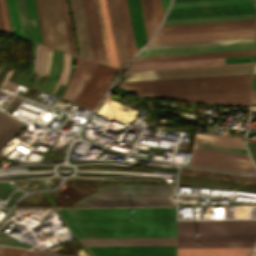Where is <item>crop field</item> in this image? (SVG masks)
<instances>
[{
	"instance_id": "1",
	"label": "crop field",
	"mask_w": 256,
	"mask_h": 256,
	"mask_svg": "<svg viewBox=\"0 0 256 256\" xmlns=\"http://www.w3.org/2000/svg\"><path fill=\"white\" fill-rule=\"evenodd\" d=\"M60 212L79 238L176 237L172 208L60 209Z\"/></svg>"
},
{
	"instance_id": "2",
	"label": "crop field",
	"mask_w": 256,
	"mask_h": 256,
	"mask_svg": "<svg viewBox=\"0 0 256 256\" xmlns=\"http://www.w3.org/2000/svg\"><path fill=\"white\" fill-rule=\"evenodd\" d=\"M251 77L123 86L142 96L250 90Z\"/></svg>"
},
{
	"instance_id": "3",
	"label": "crop field",
	"mask_w": 256,
	"mask_h": 256,
	"mask_svg": "<svg viewBox=\"0 0 256 256\" xmlns=\"http://www.w3.org/2000/svg\"><path fill=\"white\" fill-rule=\"evenodd\" d=\"M167 186L116 185L105 188L78 205L173 204Z\"/></svg>"
},
{
	"instance_id": "4",
	"label": "crop field",
	"mask_w": 256,
	"mask_h": 256,
	"mask_svg": "<svg viewBox=\"0 0 256 256\" xmlns=\"http://www.w3.org/2000/svg\"><path fill=\"white\" fill-rule=\"evenodd\" d=\"M45 45L69 51L60 0H35Z\"/></svg>"
},
{
	"instance_id": "5",
	"label": "crop field",
	"mask_w": 256,
	"mask_h": 256,
	"mask_svg": "<svg viewBox=\"0 0 256 256\" xmlns=\"http://www.w3.org/2000/svg\"><path fill=\"white\" fill-rule=\"evenodd\" d=\"M245 64H252V63H245ZM245 64L134 70V71H126L125 73L174 70V69H188V68H203V67H217V66H231V65H245ZM251 69H252V65H245V66H231V67H217V68H203V69H189V70L132 73V74H125L126 79H124L123 82L172 79V78H186V77H201V76H215V75H230V74H244V73H251Z\"/></svg>"
},
{
	"instance_id": "6",
	"label": "crop field",
	"mask_w": 256,
	"mask_h": 256,
	"mask_svg": "<svg viewBox=\"0 0 256 256\" xmlns=\"http://www.w3.org/2000/svg\"><path fill=\"white\" fill-rule=\"evenodd\" d=\"M241 173H256L249 155L193 147L189 164Z\"/></svg>"
},
{
	"instance_id": "7",
	"label": "crop field",
	"mask_w": 256,
	"mask_h": 256,
	"mask_svg": "<svg viewBox=\"0 0 256 256\" xmlns=\"http://www.w3.org/2000/svg\"><path fill=\"white\" fill-rule=\"evenodd\" d=\"M119 69L98 64L75 103L93 109Z\"/></svg>"
},
{
	"instance_id": "8",
	"label": "crop field",
	"mask_w": 256,
	"mask_h": 256,
	"mask_svg": "<svg viewBox=\"0 0 256 256\" xmlns=\"http://www.w3.org/2000/svg\"><path fill=\"white\" fill-rule=\"evenodd\" d=\"M255 3L170 9L166 19L254 13Z\"/></svg>"
},
{
	"instance_id": "9",
	"label": "crop field",
	"mask_w": 256,
	"mask_h": 256,
	"mask_svg": "<svg viewBox=\"0 0 256 256\" xmlns=\"http://www.w3.org/2000/svg\"><path fill=\"white\" fill-rule=\"evenodd\" d=\"M154 98L177 99V100L202 103V104H208V105H233V106H249L250 105V91L166 96V97H154Z\"/></svg>"
},
{
	"instance_id": "10",
	"label": "crop field",
	"mask_w": 256,
	"mask_h": 256,
	"mask_svg": "<svg viewBox=\"0 0 256 256\" xmlns=\"http://www.w3.org/2000/svg\"><path fill=\"white\" fill-rule=\"evenodd\" d=\"M95 256H176V246L88 247Z\"/></svg>"
},
{
	"instance_id": "11",
	"label": "crop field",
	"mask_w": 256,
	"mask_h": 256,
	"mask_svg": "<svg viewBox=\"0 0 256 256\" xmlns=\"http://www.w3.org/2000/svg\"><path fill=\"white\" fill-rule=\"evenodd\" d=\"M254 29L154 36L148 44L253 37Z\"/></svg>"
},
{
	"instance_id": "12",
	"label": "crop field",
	"mask_w": 256,
	"mask_h": 256,
	"mask_svg": "<svg viewBox=\"0 0 256 256\" xmlns=\"http://www.w3.org/2000/svg\"><path fill=\"white\" fill-rule=\"evenodd\" d=\"M73 24L81 57L92 59V53L81 0H69Z\"/></svg>"
},
{
	"instance_id": "13",
	"label": "crop field",
	"mask_w": 256,
	"mask_h": 256,
	"mask_svg": "<svg viewBox=\"0 0 256 256\" xmlns=\"http://www.w3.org/2000/svg\"><path fill=\"white\" fill-rule=\"evenodd\" d=\"M95 61L106 64L94 0H82Z\"/></svg>"
},
{
	"instance_id": "14",
	"label": "crop field",
	"mask_w": 256,
	"mask_h": 256,
	"mask_svg": "<svg viewBox=\"0 0 256 256\" xmlns=\"http://www.w3.org/2000/svg\"><path fill=\"white\" fill-rule=\"evenodd\" d=\"M118 64L129 59L118 0H107Z\"/></svg>"
},
{
	"instance_id": "15",
	"label": "crop field",
	"mask_w": 256,
	"mask_h": 256,
	"mask_svg": "<svg viewBox=\"0 0 256 256\" xmlns=\"http://www.w3.org/2000/svg\"><path fill=\"white\" fill-rule=\"evenodd\" d=\"M226 63L252 62V56L224 58ZM223 58L216 59H200V60H185V61H170V62H154V63H139L131 64L128 70L218 64L225 63Z\"/></svg>"
},
{
	"instance_id": "16",
	"label": "crop field",
	"mask_w": 256,
	"mask_h": 256,
	"mask_svg": "<svg viewBox=\"0 0 256 256\" xmlns=\"http://www.w3.org/2000/svg\"><path fill=\"white\" fill-rule=\"evenodd\" d=\"M86 246L176 245V238L81 239Z\"/></svg>"
},
{
	"instance_id": "17",
	"label": "crop field",
	"mask_w": 256,
	"mask_h": 256,
	"mask_svg": "<svg viewBox=\"0 0 256 256\" xmlns=\"http://www.w3.org/2000/svg\"><path fill=\"white\" fill-rule=\"evenodd\" d=\"M253 43L143 50L140 56L252 49Z\"/></svg>"
},
{
	"instance_id": "18",
	"label": "crop field",
	"mask_w": 256,
	"mask_h": 256,
	"mask_svg": "<svg viewBox=\"0 0 256 256\" xmlns=\"http://www.w3.org/2000/svg\"><path fill=\"white\" fill-rule=\"evenodd\" d=\"M252 55V50L138 57L133 63Z\"/></svg>"
},
{
	"instance_id": "19",
	"label": "crop field",
	"mask_w": 256,
	"mask_h": 256,
	"mask_svg": "<svg viewBox=\"0 0 256 256\" xmlns=\"http://www.w3.org/2000/svg\"><path fill=\"white\" fill-rule=\"evenodd\" d=\"M250 247L178 248V256H245Z\"/></svg>"
},
{
	"instance_id": "20",
	"label": "crop field",
	"mask_w": 256,
	"mask_h": 256,
	"mask_svg": "<svg viewBox=\"0 0 256 256\" xmlns=\"http://www.w3.org/2000/svg\"><path fill=\"white\" fill-rule=\"evenodd\" d=\"M127 1H128L129 11H130L136 49L138 50L147 41L143 19H142L140 2L139 0H127Z\"/></svg>"
},
{
	"instance_id": "21",
	"label": "crop field",
	"mask_w": 256,
	"mask_h": 256,
	"mask_svg": "<svg viewBox=\"0 0 256 256\" xmlns=\"http://www.w3.org/2000/svg\"><path fill=\"white\" fill-rule=\"evenodd\" d=\"M255 240H256V234L178 236V242L255 241Z\"/></svg>"
},
{
	"instance_id": "22",
	"label": "crop field",
	"mask_w": 256,
	"mask_h": 256,
	"mask_svg": "<svg viewBox=\"0 0 256 256\" xmlns=\"http://www.w3.org/2000/svg\"><path fill=\"white\" fill-rule=\"evenodd\" d=\"M194 141L245 149L240 136L196 133Z\"/></svg>"
},
{
	"instance_id": "23",
	"label": "crop field",
	"mask_w": 256,
	"mask_h": 256,
	"mask_svg": "<svg viewBox=\"0 0 256 256\" xmlns=\"http://www.w3.org/2000/svg\"><path fill=\"white\" fill-rule=\"evenodd\" d=\"M99 3H100V8H101L105 33H106V39H107L111 64H112V66L117 67L118 64H117V59H116V53H115V48H114V43H113V37H112V32H111V27H110V21H109V16H108V11H107L106 0H99Z\"/></svg>"
},
{
	"instance_id": "24",
	"label": "crop field",
	"mask_w": 256,
	"mask_h": 256,
	"mask_svg": "<svg viewBox=\"0 0 256 256\" xmlns=\"http://www.w3.org/2000/svg\"><path fill=\"white\" fill-rule=\"evenodd\" d=\"M254 28V24L160 30L158 35Z\"/></svg>"
},
{
	"instance_id": "25",
	"label": "crop field",
	"mask_w": 256,
	"mask_h": 256,
	"mask_svg": "<svg viewBox=\"0 0 256 256\" xmlns=\"http://www.w3.org/2000/svg\"><path fill=\"white\" fill-rule=\"evenodd\" d=\"M119 4H120L122 19H123V25H124V30H125V35H126V40L128 45L129 56L131 57L136 52V49H135L131 22H130V17L128 12L127 1L119 0Z\"/></svg>"
},
{
	"instance_id": "26",
	"label": "crop field",
	"mask_w": 256,
	"mask_h": 256,
	"mask_svg": "<svg viewBox=\"0 0 256 256\" xmlns=\"http://www.w3.org/2000/svg\"><path fill=\"white\" fill-rule=\"evenodd\" d=\"M26 6L28 11L32 39L34 42L43 44L34 0H26Z\"/></svg>"
},
{
	"instance_id": "27",
	"label": "crop field",
	"mask_w": 256,
	"mask_h": 256,
	"mask_svg": "<svg viewBox=\"0 0 256 256\" xmlns=\"http://www.w3.org/2000/svg\"><path fill=\"white\" fill-rule=\"evenodd\" d=\"M144 21L156 20L152 0H140ZM147 38L150 37L157 27L156 21L145 22Z\"/></svg>"
},
{
	"instance_id": "28",
	"label": "crop field",
	"mask_w": 256,
	"mask_h": 256,
	"mask_svg": "<svg viewBox=\"0 0 256 256\" xmlns=\"http://www.w3.org/2000/svg\"><path fill=\"white\" fill-rule=\"evenodd\" d=\"M253 42V38L146 46L145 49Z\"/></svg>"
},
{
	"instance_id": "29",
	"label": "crop field",
	"mask_w": 256,
	"mask_h": 256,
	"mask_svg": "<svg viewBox=\"0 0 256 256\" xmlns=\"http://www.w3.org/2000/svg\"><path fill=\"white\" fill-rule=\"evenodd\" d=\"M247 18H254V14L217 16V17H202V18H187V19H172V20H164L163 24L200 22V21H216V20H231V19H247Z\"/></svg>"
},
{
	"instance_id": "30",
	"label": "crop field",
	"mask_w": 256,
	"mask_h": 256,
	"mask_svg": "<svg viewBox=\"0 0 256 256\" xmlns=\"http://www.w3.org/2000/svg\"><path fill=\"white\" fill-rule=\"evenodd\" d=\"M247 23H254V19L222 21V22H206V23L170 24V25H161L160 29L183 28V27H199V26H215V25H231V24H247Z\"/></svg>"
},
{
	"instance_id": "31",
	"label": "crop field",
	"mask_w": 256,
	"mask_h": 256,
	"mask_svg": "<svg viewBox=\"0 0 256 256\" xmlns=\"http://www.w3.org/2000/svg\"><path fill=\"white\" fill-rule=\"evenodd\" d=\"M6 3L12 32L23 37L16 0H6Z\"/></svg>"
},
{
	"instance_id": "32",
	"label": "crop field",
	"mask_w": 256,
	"mask_h": 256,
	"mask_svg": "<svg viewBox=\"0 0 256 256\" xmlns=\"http://www.w3.org/2000/svg\"><path fill=\"white\" fill-rule=\"evenodd\" d=\"M52 48L39 45V69L38 72L49 74L51 65Z\"/></svg>"
},
{
	"instance_id": "33",
	"label": "crop field",
	"mask_w": 256,
	"mask_h": 256,
	"mask_svg": "<svg viewBox=\"0 0 256 256\" xmlns=\"http://www.w3.org/2000/svg\"><path fill=\"white\" fill-rule=\"evenodd\" d=\"M248 2H255V0H220V1H205V2L173 3L171 8L220 5V4H234V3H248Z\"/></svg>"
},
{
	"instance_id": "34",
	"label": "crop field",
	"mask_w": 256,
	"mask_h": 256,
	"mask_svg": "<svg viewBox=\"0 0 256 256\" xmlns=\"http://www.w3.org/2000/svg\"><path fill=\"white\" fill-rule=\"evenodd\" d=\"M61 3H62V8H63V14H64V19H65V24H66L68 40H69L70 51L72 54L77 55L73 32H72L71 21H70V16H69V10H68V5H67V0H61Z\"/></svg>"
},
{
	"instance_id": "35",
	"label": "crop field",
	"mask_w": 256,
	"mask_h": 256,
	"mask_svg": "<svg viewBox=\"0 0 256 256\" xmlns=\"http://www.w3.org/2000/svg\"><path fill=\"white\" fill-rule=\"evenodd\" d=\"M254 242L178 243V247L252 246ZM198 244H201L200 246Z\"/></svg>"
},
{
	"instance_id": "36",
	"label": "crop field",
	"mask_w": 256,
	"mask_h": 256,
	"mask_svg": "<svg viewBox=\"0 0 256 256\" xmlns=\"http://www.w3.org/2000/svg\"><path fill=\"white\" fill-rule=\"evenodd\" d=\"M17 4H18V9H19L20 19L22 24L23 35L25 38L32 41L28 17H27V11L25 6V0H17Z\"/></svg>"
},
{
	"instance_id": "37",
	"label": "crop field",
	"mask_w": 256,
	"mask_h": 256,
	"mask_svg": "<svg viewBox=\"0 0 256 256\" xmlns=\"http://www.w3.org/2000/svg\"><path fill=\"white\" fill-rule=\"evenodd\" d=\"M244 76H251V74L230 75V76H215V77H201V78H187V79H172V80H158V81H143V82H129V83H121V85L156 83V82H171V81H186V80H200V79H215V78H230V77H244Z\"/></svg>"
},
{
	"instance_id": "38",
	"label": "crop field",
	"mask_w": 256,
	"mask_h": 256,
	"mask_svg": "<svg viewBox=\"0 0 256 256\" xmlns=\"http://www.w3.org/2000/svg\"><path fill=\"white\" fill-rule=\"evenodd\" d=\"M193 146L248 154L246 150L234 149V148H228V147H222V146H216V145L194 143Z\"/></svg>"
},
{
	"instance_id": "39",
	"label": "crop field",
	"mask_w": 256,
	"mask_h": 256,
	"mask_svg": "<svg viewBox=\"0 0 256 256\" xmlns=\"http://www.w3.org/2000/svg\"><path fill=\"white\" fill-rule=\"evenodd\" d=\"M69 71H70V55L66 54L65 57V65H64V77L61 81V83L65 84L69 77Z\"/></svg>"
},
{
	"instance_id": "40",
	"label": "crop field",
	"mask_w": 256,
	"mask_h": 256,
	"mask_svg": "<svg viewBox=\"0 0 256 256\" xmlns=\"http://www.w3.org/2000/svg\"><path fill=\"white\" fill-rule=\"evenodd\" d=\"M25 250L8 247L1 256H20Z\"/></svg>"
},
{
	"instance_id": "41",
	"label": "crop field",
	"mask_w": 256,
	"mask_h": 256,
	"mask_svg": "<svg viewBox=\"0 0 256 256\" xmlns=\"http://www.w3.org/2000/svg\"><path fill=\"white\" fill-rule=\"evenodd\" d=\"M153 2H154L156 17H157V23L159 24V22H160V20L163 16L161 1L160 0H153Z\"/></svg>"
},
{
	"instance_id": "42",
	"label": "crop field",
	"mask_w": 256,
	"mask_h": 256,
	"mask_svg": "<svg viewBox=\"0 0 256 256\" xmlns=\"http://www.w3.org/2000/svg\"><path fill=\"white\" fill-rule=\"evenodd\" d=\"M21 256H57V255L26 250Z\"/></svg>"
},
{
	"instance_id": "43",
	"label": "crop field",
	"mask_w": 256,
	"mask_h": 256,
	"mask_svg": "<svg viewBox=\"0 0 256 256\" xmlns=\"http://www.w3.org/2000/svg\"><path fill=\"white\" fill-rule=\"evenodd\" d=\"M0 32H5L3 19H2V14H1V8H0Z\"/></svg>"
},
{
	"instance_id": "44",
	"label": "crop field",
	"mask_w": 256,
	"mask_h": 256,
	"mask_svg": "<svg viewBox=\"0 0 256 256\" xmlns=\"http://www.w3.org/2000/svg\"><path fill=\"white\" fill-rule=\"evenodd\" d=\"M0 3H1V8H2V14H3V19H4V24H5V30H6V32H8L2 0H0Z\"/></svg>"
},
{
	"instance_id": "45",
	"label": "crop field",
	"mask_w": 256,
	"mask_h": 256,
	"mask_svg": "<svg viewBox=\"0 0 256 256\" xmlns=\"http://www.w3.org/2000/svg\"><path fill=\"white\" fill-rule=\"evenodd\" d=\"M3 3H4V8H5V14H6V19H7V24H8V30H9V32H11L5 0H3Z\"/></svg>"
},
{
	"instance_id": "46",
	"label": "crop field",
	"mask_w": 256,
	"mask_h": 256,
	"mask_svg": "<svg viewBox=\"0 0 256 256\" xmlns=\"http://www.w3.org/2000/svg\"><path fill=\"white\" fill-rule=\"evenodd\" d=\"M252 103H256V90H253L252 93Z\"/></svg>"
},
{
	"instance_id": "47",
	"label": "crop field",
	"mask_w": 256,
	"mask_h": 256,
	"mask_svg": "<svg viewBox=\"0 0 256 256\" xmlns=\"http://www.w3.org/2000/svg\"><path fill=\"white\" fill-rule=\"evenodd\" d=\"M253 89H256V77H253Z\"/></svg>"
},
{
	"instance_id": "48",
	"label": "crop field",
	"mask_w": 256,
	"mask_h": 256,
	"mask_svg": "<svg viewBox=\"0 0 256 256\" xmlns=\"http://www.w3.org/2000/svg\"><path fill=\"white\" fill-rule=\"evenodd\" d=\"M181 1H197V0H174V2H181Z\"/></svg>"
},
{
	"instance_id": "49",
	"label": "crop field",
	"mask_w": 256,
	"mask_h": 256,
	"mask_svg": "<svg viewBox=\"0 0 256 256\" xmlns=\"http://www.w3.org/2000/svg\"><path fill=\"white\" fill-rule=\"evenodd\" d=\"M253 73H256V63H254Z\"/></svg>"
},
{
	"instance_id": "50",
	"label": "crop field",
	"mask_w": 256,
	"mask_h": 256,
	"mask_svg": "<svg viewBox=\"0 0 256 256\" xmlns=\"http://www.w3.org/2000/svg\"><path fill=\"white\" fill-rule=\"evenodd\" d=\"M252 111H256V106H252Z\"/></svg>"
},
{
	"instance_id": "51",
	"label": "crop field",
	"mask_w": 256,
	"mask_h": 256,
	"mask_svg": "<svg viewBox=\"0 0 256 256\" xmlns=\"http://www.w3.org/2000/svg\"><path fill=\"white\" fill-rule=\"evenodd\" d=\"M7 247H4L1 251H0V255H1V253L6 249Z\"/></svg>"
},
{
	"instance_id": "52",
	"label": "crop field",
	"mask_w": 256,
	"mask_h": 256,
	"mask_svg": "<svg viewBox=\"0 0 256 256\" xmlns=\"http://www.w3.org/2000/svg\"><path fill=\"white\" fill-rule=\"evenodd\" d=\"M251 256H256V252H252Z\"/></svg>"
},
{
	"instance_id": "53",
	"label": "crop field",
	"mask_w": 256,
	"mask_h": 256,
	"mask_svg": "<svg viewBox=\"0 0 256 256\" xmlns=\"http://www.w3.org/2000/svg\"><path fill=\"white\" fill-rule=\"evenodd\" d=\"M166 1V6H168V2H169V0H165Z\"/></svg>"
},
{
	"instance_id": "54",
	"label": "crop field",
	"mask_w": 256,
	"mask_h": 256,
	"mask_svg": "<svg viewBox=\"0 0 256 256\" xmlns=\"http://www.w3.org/2000/svg\"><path fill=\"white\" fill-rule=\"evenodd\" d=\"M254 62H256V56H254Z\"/></svg>"
},
{
	"instance_id": "55",
	"label": "crop field",
	"mask_w": 256,
	"mask_h": 256,
	"mask_svg": "<svg viewBox=\"0 0 256 256\" xmlns=\"http://www.w3.org/2000/svg\"><path fill=\"white\" fill-rule=\"evenodd\" d=\"M3 247L0 246V250L2 249Z\"/></svg>"
},
{
	"instance_id": "56",
	"label": "crop field",
	"mask_w": 256,
	"mask_h": 256,
	"mask_svg": "<svg viewBox=\"0 0 256 256\" xmlns=\"http://www.w3.org/2000/svg\"><path fill=\"white\" fill-rule=\"evenodd\" d=\"M254 55H256V50H255V53H254Z\"/></svg>"
},
{
	"instance_id": "57",
	"label": "crop field",
	"mask_w": 256,
	"mask_h": 256,
	"mask_svg": "<svg viewBox=\"0 0 256 256\" xmlns=\"http://www.w3.org/2000/svg\"><path fill=\"white\" fill-rule=\"evenodd\" d=\"M253 76H256V74H253Z\"/></svg>"
},
{
	"instance_id": "58",
	"label": "crop field",
	"mask_w": 256,
	"mask_h": 256,
	"mask_svg": "<svg viewBox=\"0 0 256 256\" xmlns=\"http://www.w3.org/2000/svg\"><path fill=\"white\" fill-rule=\"evenodd\" d=\"M255 49H256V43H255Z\"/></svg>"
},
{
	"instance_id": "59",
	"label": "crop field",
	"mask_w": 256,
	"mask_h": 256,
	"mask_svg": "<svg viewBox=\"0 0 256 256\" xmlns=\"http://www.w3.org/2000/svg\"><path fill=\"white\" fill-rule=\"evenodd\" d=\"M255 42H256V37H255Z\"/></svg>"
},
{
	"instance_id": "60",
	"label": "crop field",
	"mask_w": 256,
	"mask_h": 256,
	"mask_svg": "<svg viewBox=\"0 0 256 256\" xmlns=\"http://www.w3.org/2000/svg\"><path fill=\"white\" fill-rule=\"evenodd\" d=\"M58 256H62V255H58Z\"/></svg>"
},
{
	"instance_id": "61",
	"label": "crop field",
	"mask_w": 256,
	"mask_h": 256,
	"mask_svg": "<svg viewBox=\"0 0 256 256\" xmlns=\"http://www.w3.org/2000/svg\"><path fill=\"white\" fill-rule=\"evenodd\" d=\"M253 105H256V104H253Z\"/></svg>"
}]
</instances>
